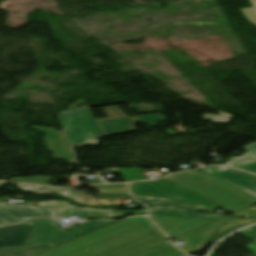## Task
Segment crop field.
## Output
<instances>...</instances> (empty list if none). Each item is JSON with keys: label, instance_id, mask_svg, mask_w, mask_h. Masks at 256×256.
Masks as SVG:
<instances>
[{"label": "crop field", "instance_id": "obj_19", "mask_svg": "<svg viewBox=\"0 0 256 256\" xmlns=\"http://www.w3.org/2000/svg\"><path fill=\"white\" fill-rule=\"evenodd\" d=\"M134 198L137 201H139L143 204H147V203H167V204L179 205V206L186 207V208H189L191 210H196V211H206V212H212L213 211L212 208L203 207V206H199V205H194V204H190V203L175 202V201H169V200L146 197V196H138V195H134Z\"/></svg>", "mask_w": 256, "mask_h": 256}, {"label": "crop field", "instance_id": "obj_7", "mask_svg": "<svg viewBox=\"0 0 256 256\" xmlns=\"http://www.w3.org/2000/svg\"><path fill=\"white\" fill-rule=\"evenodd\" d=\"M231 218L232 217L227 216L225 218H222L220 220L212 222L208 225L200 227L196 230H193L191 232H188L186 234L178 236L184 242V246H183L184 251L186 253H196V252L202 250L207 245L212 234L219 228V226ZM241 227H244V226L234 227V228L226 230L220 234L216 233L214 235L212 241L217 242L224 235H226L236 229H239Z\"/></svg>", "mask_w": 256, "mask_h": 256}, {"label": "crop field", "instance_id": "obj_3", "mask_svg": "<svg viewBox=\"0 0 256 256\" xmlns=\"http://www.w3.org/2000/svg\"><path fill=\"white\" fill-rule=\"evenodd\" d=\"M81 101H75L70 105V111L59 116L72 146L92 144L90 139L104 136L89 108L72 109Z\"/></svg>", "mask_w": 256, "mask_h": 256}, {"label": "crop field", "instance_id": "obj_20", "mask_svg": "<svg viewBox=\"0 0 256 256\" xmlns=\"http://www.w3.org/2000/svg\"><path fill=\"white\" fill-rule=\"evenodd\" d=\"M118 170L125 181L145 180L141 168H120Z\"/></svg>", "mask_w": 256, "mask_h": 256}, {"label": "crop field", "instance_id": "obj_25", "mask_svg": "<svg viewBox=\"0 0 256 256\" xmlns=\"http://www.w3.org/2000/svg\"><path fill=\"white\" fill-rule=\"evenodd\" d=\"M141 123H147L149 127L155 126L153 122L166 120L161 114L137 116Z\"/></svg>", "mask_w": 256, "mask_h": 256}, {"label": "crop field", "instance_id": "obj_27", "mask_svg": "<svg viewBox=\"0 0 256 256\" xmlns=\"http://www.w3.org/2000/svg\"><path fill=\"white\" fill-rule=\"evenodd\" d=\"M217 113H219L221 115H226V117L207 116L208 114H204L203 120H212V123H228L230 116H233V115L223 113V112H220V111H217Z\"/></svg>", "mask_w": 256, "mask_h": 256}, {"label": "crop field", "instance_id": "obj_2", "mask_svg": "<svg viewBox=\"0 0 256 256\" xmlns=\"http://www.w3.org/2000/svg\"><path fill=\"white\" fill-rule=\"evenodd\" d=\"M165 178L222 206V210L237 212L256 204L255 196L202 173L191 171Z\"/></svg>", "mask_w": 256, "mask_h": 256}, {"label": "crop field", "instance_id": "obj_22", "mask_svg": "<svg viewBox=\"0 0 256 256\" xmlns=\"http://www.w3.org/2000/svg\"><path fill=\"white\" fill-rule=\"evenodd\" d=\"M90 188L97 187L100 188L97 191L98 193H114V192H128L125 184H116V185H91Z\"/></svg>", "mask_w": 256, "mask_h": 256}, {"label": "crop field", "instance_id": "obj_14", "mask_svg": "<svg viewBox=\"0 0 256 256\" xmlns=\"http://www.w3.org/2000/svg\"><path fill=\"white\" fill-rule=\"evenodd\" d=\"M65 197L79 204L85 205H116L119 206V199L131 198L129 193L99 194L98 199H93L81 195L74 190L70 191Z\"/></svg>", "mask_w": 256, "mask_h": 256}, {"label": "crop field", "instance_id": "obj_30", "mask_svg": "<svg viewBox=\"0 0 256 256\" xmlns=\"http://www.w3.org/2000/svg\"><path fill=\"white\" fill-rule=\"evenodd\" d=\"M18 187L25 191H28V190L34 188L35 186L18 185Z\"/></svg>", "mask_w": 256, "mask_h": 256}, {"label": "crop field", "instance_id": "obj_6", "mask_svg": "<svg viewBox=\"0 0 256 256\" xmlns=\"http://www.w3.org/2000/svg\"><path fill=\"white\" fill-rule=\"evenodd\" d=\"M59 208L4 204L0 206V227L31 220H55Z\"/></svg>", "mask_w": 256, "mask_h": 256}, {"label": "crop field", "instance_id": "obj_17", "mask_svg": "<svg viewBox=\"0 0 256 256\" xmlns=\"http://www.w3.org/2000/svg\"><path fill=\"white\" fill-rule=\"evenodd\" d=\"M130 256H186L167 241L147 248Z\"/></svg>", "mask_w": 256, "mask_h": 256}, {"label": "crop field", "instance_id": "obj_26", "mask_svg": "<svg viewBox=\"0 0 256 256\" xmlns=\"http://www.w3.org/2000/svg\"><path fill=\"white\" fill-rule=\"evenodd\" d=\"M253 8H247V9H242L245 17L252 22L254 25H256V0H250Z\"/></svg>", "mask_w": 256, "mask_h": 256}, {"label": "crop field", "instance_id": "obj_1", "mask_svg": "<svg viewBox=\"0 0 256 256\" xmlns=\"http://www.w3.org/2000/svg\"><path fill=\"white\" fill-rule=\"evenodd\" d=\"M147 217L119 221L34 256H128L165 241Z\"/></svg>", "mask_w": 256, "mask_h": 256}, {"label": "crop field", "instance_id": "obj_16", "mask_svg": "<svg viewBox=\"0 0 256 256\" xmlns=\"http://www.w3.org/2000/svg\"><path fill=\"white\" fill-rule=\"evenodd\" d=\"M245 149L247 152L243 156L234 157L225 165L256 173V143L245 147Z\"/></svg>", "mask_w": 256, "mask_h": 256}, {"label": "crop field", "instance_id": "obj_13", "mask_svg": "<svg viewBox=\"0 0 256 256\" xmlns=\"http://www.w3.org/2000/svg\"><path fill=\"white\" fill-rule=\"evenodd\" d=\"M151 208L150 216H160V217H174V218H186V219H197V220H208L215 221L227 215H217V214H198L194 212H189L184 209L174 207V206H149Z\"/></svg>", "mask_w": 256, "mask_h": 256}, {"label": "crop field", "instance_id": "obj_11", "mask_svg": "<svg viewBox=\"0 0 256 256\" xmlns=\"http://www.w3.org/2000/svg\"><path fill=\"white\" fill-rule=\"evenodd\" d=\"M208 175L221 178L256 195V176L254 175L224 166L220 170Z\"/></svg>", "mask_w": 256, "mask_h": 256}, {"label": "crop field", "instance_id": "obj_12", "mask_svg": "<svg viewBox=\"0 0 256 256\" xmlns=\"http://www.w3.org/2000/svg\"><path fill=\"white\" fill-rule=\"evenodd\" d=\"M33 222L0 228V248L26 245Z\"/></svg>", "mask_w": 256, "mask_h": 256}, {"label": "crop field", "instance_id": "obj_24", "mask_svg": "<svg viewBox=\"0 0 256 256\" xmlns=\"http://www.w3.org/2000/svg\"><path fill=\"white\" fill-rule=\"evenodd\" d=\"M108 118L124 117L126 116L118 106H110L100 108ZM102 118V119H108ZM100 120V119H97Z\"/></svg>", "mask_w": 256, "mask_h": 256}, {"label": "crop field", "instance_id": "obj_29", "mask_svg": "<svg viewBox=\"0 0 256 256\" xmlns=\"http://www.w3.org/2000/svg\"><path fill=\"white\" fill-rule=\"evenodd\" d=\"M123 214H140V215H146L148 213V210L146 207H144L143 209H141L140 211H125L122 210Z\"/></svg>", "mask_w": 256, "mask_h": 256}, {"label": "crop field", "instance_id": "obj_8", "mask_svg": "<svg viewBox=\"0 0 256 256\" xmlns=\"http://www.w3.org/2000/svg\"><path fill=\"white\" fill-rule=\"evenodd\" d=\"M39 205L60 207L59 217L74 216L80 219L123 218L121 211L117 209L81 208L64 201L40 202Z\"/></svg>", "mask_w": 256, "mask_h": 256}, {"label": "crop field", "instance_id": "obj_15", "mask_svg": "<svg viewBox=\"0 0 256 256\" xmlns=\"http://www.w3.org/2000/svg\"><path fill=\"white\" fill-rule=\"evenodd\" d=\"M106 137L131 132L139 123L135 116L98 121Z\"/></svg>", "mask_w": 256, "mask_h": 256}, {"label": "crop field", "instance_id": "obj_28", "mask_svg": "<svg viewBox=\"0 0 256 256\" xmlns=\"http://www.w3.org/2000/svg\"><path fill=\"white\" fill-rule=\"evenodd\" d=\"M63 191H65V190L40 187L30 193H33V194H56V193L63 192Z\"/></svg>", "mask_w": 256, "mask_h": 256}, {"label": "crop field", "instance_id": "obj_31", "mask_svg": "<svg viewBox=\"0 0 256 256\" xmlns=\"http://www.w3.org/2000/svg\"><path fill=\"white\" fill-rule=\"evenodd\" d=\"M3 185H5V183H0V186H3Z\"/></svg>", "mask_w": 256, "mask_h": 256}, {"label": "crop field", "instance_id": "obj_5", "mask_svg": "<svg viewBox=\"0 0 256 256\" xmlns=\"http://www.w3.org/2000/svg\"><path fill=\"white\" fill-rule=\"evenodd\" d=\"M130 188L133 194L190 202L212 208L217 207V205L213 204L212 202L164 178L156 182L132 183Z\"/></svg>", "mask_w": 256, "mask_h": 256}, {"label": "crop field", "instance_id": "obj_9", "mask_svg": "<svg viewBox=\"0 0 256 256\" xmlns=\"http://www.w3.org/2000/svg\"><path fill=\"white\" fill-rule=\"evenodd\" d=\"M38 132L45 133L46 138H43L47 150L51 151L55 159H65L69 162H75L70 143L64 132L54 130V128L32 126Z\"/></svg>", "mask_w": 256, "mask_h": 256}, {"label": "crop field", "instance_id": "obj_10", "mask_svg": "<svg viewBox=\"0 0 256 256\" xmlns=\"http://www.w3.org/2000/svg\"><path fill=\"white\" fill-rule=\"evenodd\" d=\"M169 239L208 224V221L150 217Z\"/></svg>", "mask_w": 256, "mask_h": 256}, {"label": "crop field", "instance_id": "obj_18", "mask_svg": "<svg viewBox=\"0 0 256 256\" xmlns=\"http://www.w3.org/2000/svg\"><path fill=\"white\" fill-rule=\"evenodd\" d=\"M50 248L48 243L0 249V256H32Z\"/></svg>", "mask_w": 256, "mask_h": 256}, {"label": "crop field", "instance_id": "obj_21", "mask_svg": "<svg viewBox=\"0 0 256 256\" xmlns=\"http://www.w3.org/2000/svg\"><path fill=\"white\" fill-rule=\"evenodd\" d=\"M53 179L52 177L36 176L29 178H13L9 181L48 186Z\"/></svg>", "mask_w": 256, "mask_h": 256}, {"label": "crop field", "instance_id": "obj_4", "mask_svg": "<svg viewBox=\"0 0 256 256\" xmlns=\"http://www.w3.org/2000/svg\"><path fill=\"white\" fill-rule=\"evenodd\" d=\"M113 222L116 221L79 222L75 230L65 232L58 231L60 223L55 221H35L31 228L27 245L48 242L53 247Z\"/></svg>", "mask_w": 256, "mask_h": 256}, {"label": "crop field", "instance_id": "obj_23", "mask_svg": "<svg viewBox=\"0 0 256 256\" xmlns=\"http://www.w3.org/2000/svg\"><path fill=\"white\" fill-rule=\"evenodd\" d=\"M238 233L256 242V226L247 228ZM246 247L255 253L252 256H256V243L255 244L251 243V244L247 245Z\"/></svg>", "mask_w": 256, "mask_h": 256}]
</instances>
